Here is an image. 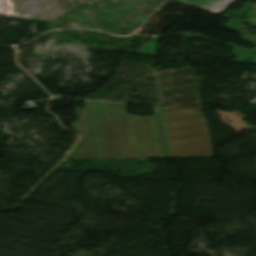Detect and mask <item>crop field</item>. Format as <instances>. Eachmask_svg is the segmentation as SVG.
Returning <instances> with one entry per match:
<instances>
[{
  "instance_id": "crop-field-1",
  "label": "crop field",
  "mask_w": 256,
  "mask_h": 256,
  "mask_svg": "<svg viewBox=\"0 0 256 256\" xmlns=\"http://www.w3.org/2000/svg\"><path fill=\"white\" fill-rule=\"evenodd\" d=\"M161 109L141 118L124 115L122 104L85 101L71 123L82 138L67 159L170 158Z\"/></svg>"
},
{
  "instance_id": "crop-field-2",
  "label": "crop field",
  "mask_w": 256,
  "mask_h": 256,
  "mask_svg": "<svg viewBox=\"0 0 256 256\" xmlns=\"http://www.w3.org/2000/svg\"><path fill=\"white\" fill-rule=\"evenodd\" d=\"M162 119L171 158L214 157L200 110L163 106Z\"/></svg>"
},
{
  "instance_id": "crop-field-3",
  "label": "crop field",
  "mask_w": 256,
  "mask_h": 256,
  "mask_svg": "<svg viewBox=\"0 0 256 256\" xmlns=\"http://www.w3.org/2000/svg\"><path fill=\"white\" fill-rule=\"evenodd\" d=\"M186 3L194 7H198L212 13L222 11L233 0H175Z\"/></svg>"
}]
</instances>
